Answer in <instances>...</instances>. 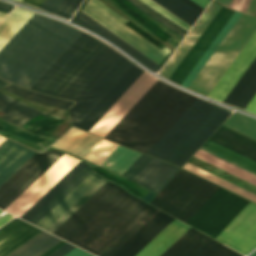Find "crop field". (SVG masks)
Returning a JSON list of instances; mask_svg holds the SVG:
<instances>
[{
    "mask_svg": "<svg viewBox=\"0 0 256 256\" xmlns=\"http://www.w3.org/2000/svg\"><path fill=\"white\" fill-rule=\"evenodd\" d=\"M106 182L107 180L102 178L82 198H80L68 211H66L54 224H52L47 229V231L52 233L58 226H60L72 213H74L86 200H88Z\"/></svg>",
    "mask_w": 256,
    "mask_h": 256,
    "instance_id": "obj_41",
    "label": "crop field"
},
{
    "mask_svg": "<svg viewBox=\"0 0 256 256\" xmlns=\"http://www.w3.org/2000/svg\"><path fill=\"white\" fill-rule=\"evenodd\" d=\"M130 3H132L133 5H135L136 7L140 8L141 10H143L144 12H146L147 14H149L150 16H152L153 18L157 19L158 21H160L161 23H163L164 25H166L167 27H169L170 29H172L173 31L177 32L178 34H180L181 36H185L182 33H180L179 31H177L176 29H174L173 27H171L170 25H168L167 23H165L164 21H162L161 19H159L158 17H156L155 15L151 14L150 12H148L147 10H145L144 8H142L141 6H139L138 4H136L135 2H133L132 0H127ZM176 33V34H177Z\"/></svg>",
    "mask_w": 256,
    "mask_h": 256,
    "instance_id": "obj_51",
    "label": "crop field"
},
{
    "mask_svg": "<svg viewBox=\"0 0 256 256\" xmlns=\"http://www.w3.org/2000/svg\"><path fill=\"white\" fill-rule=\"evenodd\" d=\"M5 89H7V90H9L13 93H16V94H18V95H20V96H22L26 99H30V100H34V101H38V102H42V103H46V104L66 108V109H68L70 107V105L73 103V102H70V101H66V100H62V99H58V98H54V97L34 93V92H31V91L26 90L24 88H21L19 86H16L14 84H11L10 86L6 87Z\"/></svg>",
    "mask_w": 256,
    "mask_h": 256,
    "instance_id": "obj_38",
    "label": "crop field"
},
{
    "mask_svg": "<svg viewBox=\"0 0 256 256\" xmlns=\"http://www.w3.org/2000/svg\"><path fill=\"white\" fill-rule=\"evenodd\" d=\"M248 203L220 188L187 224L215 239Z\"/></svg>",
    "mask_w": 256,
    "mask_h": 256,
    "instance_id": "obj_10",
    "label": "crop field"
},
{
    "mask_svg": "<svg viewBox=\"0 0 256 256\" xmlns=\"http://www.w3.org/2000/svg\"><path fill=\"white\" fill-rule=\"evenodd\" d=\"M201 149H203V150H205V151H207V152H209V153H211V154H213V155H215V156H218V157H220V158H222V159H224V160H226V161H228V162H230V163H232V164H234V165H237V166H239V167H241V168H243V169H245V170H247V171H249V172H251V173L256 174V172H254V171H252V170H250V169H248V168H245V167H243V166H241V165H239V164H237V163H235V162H233V161H230V160H228V159H226V158H224V157H222V156H220V155H218V154H215V153H213V152H211V151H209V150H207V149H205V148H203V147H201ZM254 174H253V175H254Z\"/></svg>",
    "mask_w": 256,
    "mask_h": 256,
    "instance_id": "obj_53",
    "label": "crop field"
},
{
    "mask_svg": "<svg viewBox=\"0 0 256 256\" xmlns=\"http://www.w3.org/2000/svg\"><path fill=\"white\" fill-rule=\"evenodd\" d=\"M216 240L243 254L256 247V204L250 202Z\"/></svg>",
    "mask_w": 256,
    "mask_h": 256,
    "instance_id": "obj_13",
    "label": "crop field"
},
{
    "mask_svg": "<svg viewBox=\"0 0 256 256\" xmlns=\"http://www.w3.org/2000/svg\"><path fill=\"white\" fill-rule=\"evenodd\" d=\"M173 219L159 211L112 256H135Z\"/></svg>",
    "mask_w": 256,
    "mask_h": 256,
    "instance_id": "obj_19",
    "label": "crop field"
},
{
    "mask_svg": "<svg viewBox=\"0 0 256 256\" xmlns=\"http://www.w3.org/2000/svg\"><path fill=\"white\" fill-rule=\"evenodd\" d=\"M5 16V14L0 13V21Z\"/></svg>",
    "mask_w": 256,
    "mask_h": 256,
    "instance_id": "obj_67",
    "label": "crop field"
},
{
    "mask_svg": "<svg viewBox=\"0 0 256 256\" xmlns=\"http://www.w3.org/2000/svg\"><path fill=\"white\" fill-rule=\"evenodd\" d=\"M188 228L189 226L174 219L136 256H159Z\"/></svg>",
    "mask_w": 256,
    "mask_h": 256,
    "instance_id": "obj_28",
    "label": "crop field"
},
{
    "mask_svg": "<svg viewBox=\"0 0 256 256\" xmlns=\"http://www.w3.org/2000/svg\"><path fill=\"white\" fill-rule=\"evenodd\" d=\"M256 94V58L224 102L245 109Z\"/></svg>",
    "mask_w": 256,
    "mask_h": 256,
    "instance_id": "obj_27",
    "label": "crop field"
},
{
    "mask_svg": "<svg viewBox=\"0 0 256 256\" xmlns=\"http://www.w3.org/2000/svg\"><path fill=\"white\" fill-rule=\"evenodd\" d=\"M143 71L144 70L134 65L113 87V89L99 102V104L84 118L78 127L89 131Z\"/></svg>",
    "mask_w": 256,
    "mask_h": 256,
    "instance_id": "obj_20",
    "label": "crop field"
},
{
    "mask_svg": "<svg viewBox=\"0 0 256 256\" xmlns=\"http://www.w3.org/2000/svg\"><path fill=\"white\" fill-rule=\"evenodd\" d=\"M71 22L80 25L82 27H85L87 29H90L97 34L101 35L108 41L112 42L113 44L120 47L122 50H124L126 53L131 55L133 58H135L137 61H139L141 64L149 68L151 71L156 72L160 70L161 67H159L157 64H155L153 61H151L149 58H147L145 55H143L141 52L130 46L128 43L117 37L115 34L92 20L90 17L82 13L78 10V12L75 14V16L72 18Z\"/></svg>",
    "mask_w": 256,
    "mask_h": 256,
    "instance_id": "obj_21",
    "label": "crop field"
},
{
    "mask_svg": "<svg viewBox=\"0 0 256 256\" xmlns=\"http://www.w3.org/2000/svg\"><path fill=\"white\" fill-rule=\"evenodd\" d=\"M155 194L151 193V192H147V194L144 196V198L142 200L148 202Z\"/></svg>",
    "mask_w": 256,
    "mask_h": 256,
    "instance_id": "obj_62",
    "label": "crop field"
},
{
    "mask_svg": "<svg viewBox=\"0 0 256 256\" xmlns=\"http://www.w3.org/2000/svg\"><path fill=\"white\" fill-rule=\"evenodd\" d=\"M189 25L195 22L201 12L183 0H153Z\"/></svg>",
    "mask_w": 256,
    "mask_h": 256,
    "instance_id": "obj_34",
    "label": "crop field"
},
{
    "mask_svg": "<svg viewBox=\"0 0 256 256\" xmlns=\"http://www.w3.org/2000/svg\"><path fill=\"white\" fill-rule=\"evenodd\" d=\"M36 152L10 140L0 146V185Z\"/></svg>",
    "mask_w": 256,
    "mask_h": 256,
    "instance_id": "obj_24",
    "label": "crop field"
},
{
    "mask_svg": "<svg viewBox=\"0 0 256 256\" xmlns=\"http://www.w3.org/2000/svg\"><path fill=\"white\" fill-rule=\"evenodd\" d=\"M255 57L256 30L208 94V97L223 102Z\"/></svg>",
    "mask_w": 256,
    "mask_h": 256,
    "instance_id": "obj_17",
    "label": "crop field"
},
{
    "mask_svg": "<svg viewBox=\"0 0 256 256\" xmlns=\"http://www.w3.org/2000/svg\"><path fill=\"white\" fill-rule=\"evenodd\" d=\"M252 254V253H251ZM250 256H256V251L252 254V255H250Z\"/></svg>",
    "mask_w": 256,
    "mask_h": 256,
    "instance_id": "obj_68",
    "label": "crop field"
},
{
    "mask_svg": "<svg viewBox=\"0 0 256 256\" xmlns=\"http://www.w3.org/2000/svg\"><path fill=\"white\" fill-rule=\"evenodd\" d=\"M6 140V138L0 136V145Z\"/></svg>",
    "mask_w": 256,
    "mask_h": 256,
    "instance_id": "obj_66",
    "label": "crop field"
},
{
    "mask_svg": "<svg viewBox=\"0 0 256 256\" xmlns=\"http://www.w3.org/2000/svg\"><path fill=\"white\" fill-rule=\"evenodd\" d=\"M136 1L139 2L140 4L144 5L145 7H147L148 9H150L151 11H153L154 13H156L157 15H159L160 17H162L163 19H165L166 21H168L169 23H171L172 25H174L175 27H177L178 29H180L184 33H187V31H185L184 29H182L181 27H179L178 25H176L175 23H173L169 19L165 18L164 16H162L161 14H159L158 12H156L155 10H153L152 8H150L149 6H147L146 4L141 2L140 0H136Z\"/></svg>",
    "mask_w": 256,
    "mask_h": 256,
    "instance_id": "obj_52",
    "label": "crop field"
},
{
    "mask_svg": "<svg viewBox=\"0 0 256 256\" xmlns=\"http://www.w3.org/2000/svg\"><path fill=\"white\" fill-rule=\"evenodd\" d=\"M7 84H9L8 82L2 81L0 80V89L4 86H6Z\"/></svg>",
    "mask_w": 256,
    "mask_h": 256,
    "instance_id": "obj_65",
    "label": "crop field"
},
{
    "mask_svg": "<svg viewBox=\"0 0 256 256\" xmlns=\"http://www.w3.org/2000/svg\"><path fill=\"white\" fill-rule=\"evenodd\" d=\"M224 125L256 140V120L234 112Z\"/></svg>",
    "mask_w": 256,
    "mask_h": 256,
    "instance_id": "obj_39",
    "label": "crop field"
},
{
    "mask_svg": "<svg viewBox=\"0 0 256 256\" xmlns=\"http://www.w3.org/2000/svg\"><path fill=\"white\" fill-rule=\"evenodd\" d=\"M101 138L90 133L71 127L56 143L52 146L85 157Z\"/></svg>",
    "mask_w": 256,
    "mask_h": 256,
    "instance_id": "obj_26",
    "label": "crop field"
},
{
    "mask_svg": "<svg viewBox=\"0 0 256 256\" xmlns=\"http://www.w3.org/2000/svg\"><path fill=\"white\" fill-rule=\"evenodd\" d=\"M241 15H242V13L235 11V13L232 15V17L229 19V21L224 26V28L221 30V32L218 34V36L215 38L213 43L210 45V47L204 53L202 58L199 60V62L193 68L191 73L189 72L190 74L185 79V81L182 83V86L188 88V86L191 84V82L194 80V78L197 76V74L200 72V70L203 68V66L206 64V62L209 60V58L212 56V54L215 52V50L221 44L223 39L226 37V35L229 33V31L232 29V27L235 25V23L241 17Z\"/></svg>",
    "mask_w": 256,
    "mask_h": 256,
    "instance_id": "obj_31",
    "label": "crop field"
},
{
    "mask_svg": "<svg viewBox=\"0 0 256 256\" xmlns=\"http://www.w3.org/2000/svg\"><path fill=\"white\" fill-rule=\"evenodd\" d=\"M158 211L108 181L53 234L111 256Z\"/></svg>",
    "mask_w": 256,
    "mask_h": 256,
    "instance_id": "obj_2",
    "label": "crop field"
},
{
    "mask_svg": "<svg viewBox=\"0 0 256 256\" xmlns=\"http://www.w3.org/2000/svg\"><path fill=\"white\" fill-rule=\"evenodd\" d=\"M65 256H90L78 249H73L71 252H69L68 254H66Z\"/></svg>",
    "mask_w": 256,
    "mask_h": 256,
    "instance_id": "obj_55",
    "label": "crop field"
},
{
    "mask_svg": "<svg viewBox=\"0 0 256 256\" xmlns=\"http://www.w3.org/2000/svg\"><path fill=\"white\" fill-rule=\"evenodd\" d=\"M250 0H232L229 8L245 12Z\"/></svg>",
    "mask_w": 256,
    "mask_h": 256,
    "instance_id": "obj_49",
    "label": "crop field"
},
{
    "mask_svg": "<svg viewBox=\"0 0 256 256\" xmlns=\"http://www.w3.org/2000/svg\"><path fill=\"white\" fill-rule=\"evenodd\" d=\"M195 156L256 184V175H253V174H251L237 166H234L218 157H215L201 149L198 150V152L195 154Z\"/></svg>",
    "mask_w": 256,
    "mask_h": 256,
    "instance_id": "obj_36",
    "label": "crop field"
},
{
    "mask_svg": "<svg viewBox=\"0 0 256 256\" xmlns=\"http://www.w3.org/2000/svg\"><path fill=\"white\" fill-rule=\"evenodd\" d=\"M184 1H186L187 3H189L190 5H192L193 7H195L196 9H198L201 12L204 10V9H202L201 7H199L198 5H196L195 3H193L190 0H184Z\"/></svg>",
    "mask_w": 256,
    "mask_h": 256,
    "instance_id": "obj_63",
    "label": "crop field"
},
{
    "mask_svg": "<svg viewBox=\"0 0 256 256\" xmlns=\"http://www.w3.org/2000/svg\"><path fill=\"white\" fill-rule=\"evenodd\" d=\"M75 246L67 243L64 246H62L60 249H58L57 251H55L54 253H52L49 256H63L65 255L67 252H69L70 250H72Z\"/></svg>",
    "mask_w": 256,
    "mask_h": 256,
    "instance_id": "obj_50",
    "label": "crop field"
},
{
    "mask_svg": "<svg viewBox=\"0 0 256 256\" xmlns=\"http://www.w3.org/2000/svg\"><path fill=\"white\" fill-rule=\"evenodd\" d=\"M218 189L181 169L150 204L187 223Z\"/></svg>",
    "mask_w": 256,
    "mask_h": 256,
    "instance_id": "obj_6",
    "label": "crop field"
},
{
    "mask_svg": "<svg viewBox=\"0 0 256 256\" xmlns=\"http://www.w3.org/2000/svg\"><path fill=\"white\" fill-rule=\"evenodd\" d=\"M230 114L197 98L147 154L182 166Z\"/></svg>",
    "mask_w": 256,
    "mask_h": 256,
    "instance_id": "obj_4",
    "label": "crop field"
},
{
    "mask_svg": "<svg viewBox=\"0 0 256 256\" xmlns=\"http://www.w3.org/2000/svg\"><path fill=\"white\" fill-rule=\"evenodd\" d=\"M62 155L56 150L36 153L0 186V208L4 210Z\"/></svg>",
    "mask_w": 256,
    "mask_h": 256,
    "instance_id": "obj_11",
    "label": "crop field"
},
{
    "mask_svg": "<svg viewBox=\"0 0 256 256\" xmlns=\"http://www.w3.org/2000/svg\"><path fill=\"white\" fill-rule=\"evenodd\" d=\"M246 110L256 114V95L252 99V101L249 103V105L246 107Z\"/></svg>",
    "mask_w": 256,
    "mask_h": 256,
    "instance_id": "obj_56",
    "label": "crop field"
},
{
    "mask_svg": "<svg viewBox=\"0 0 256 256\" xmlns=\"http://www.w3.org/2000/svg\"><path fill=\"white\" fill-rule=\"evenodd\" d=\"M183 168L256 203L255 195H253L237 186H234V185H232L214 175H211V174H209V173H207L189 163H187Z\"/></svg>",
    "mask_w": 256,
    "mask_h": 256,
    "instance_id": "obj_37",
    "label": "crop field"
},
{
    "mask_svg": "<svg viewBox=\"0 0 256 256\" xmlns=\"http://www.w3.org/2000/svg\"><path fill=\"white\" fill-rule=\"evenodd\" d=\"M141 1H143L144 3H146L147 5H149L150 7H152L153 9H155L156 11L164 15L165 17L169 18L170 20H172L173 22H175L185 30L188 31L189 28L191 27L185 22H183L182 20H180L179 18H177L176 16H174L173 14H171L170 12H168L167 10H165L164 8H162L161 6H159L158 4H156L155 2H153L152 0H141Z\"/></svg>",
    "mask_w": 256,
    "mask_h": 256,
    "instance_id": "obj_45",
    "label": "crop field"
},
{
    "mask_svg": "<svg viewBox=\"0 0 256 256\" xmlns=\"http://www.w3.org/2000/svg\"><path fill=\"white\" fill-rule=\"evenodd\" d=\"M81 2L82 0H64L55 14L70 19Z\"/></svg>",
    "mask_w": 256,
    "mask_h": 256,
    "instance_id": "obj_44",
    "label": "crop field"
},
{
    "mask_svg": "<svg viewBox=\"0 0 256 256\" xmlns=\"http://www.w3.org/2000/svg\"><path fill=\"white\" fill-rule=\"evenodd\" d=\"M60 240L42 231L8 256H39Z\"/></svg>",
    "mask_w": 256,
    "mask_h": 256,
    "instance_id": "obj_32",
    "label": "crop field"
},
{
    "mask_svg": "<svg viewBox=\"0 0 256 256\" xmlns=\"http://www.w3.org/2000/svg\"><path fill=\"white\" fill-rule=\"evenodd\" d=\"M14 6L3 4L0 2V10L9 12Z\"/></svg>",
    "mask_w": 256,
    "mask_h": 256,
    "instance_id": "obj_60",
    "label": "crop field"
},
{
    "mask_svg": "<svg viewBox=\"0 0 256 256\" xmlns=\"http://www.w3.org/2000/svg\"><path fill=\"white\" fill-rule=\"evenodd\" d=\"M216 1L222 3V4L226 5V6H229L231 0H216Z\"/></svg>",
    "mask_w": 256,
    "mask_h": 256,
    "instance_id": "obj_64",
    "label": "crop field"
},
{
    "mask_svg": "<svg viewBox=\"0 0 256 256\" xmlns=\"http://www.w3.org/2000/svg\"><path fill=\"white\" fill-rule=\"evenodd\" d=\"M101 177L95 175L93 171L82 180L64 199H62L36 226L46 230L54 223L66 210H68L80 197H82Z\"/></svg>",
    "mask_w": 256,
    "mask_h": 256,
    "instance_id": "obj_25",
    "label": "crop field"
},
{
    "mask_svg": "<svg viewBox=\"0 0 256 256\" xmlns=\"http://www.w3.org/2000/svg\"><path fill=\"white\" fill-rule=\"evenodd\" d=\"M157 80L144 71L90 132L105 137ZM195 99L158 80L106 138L146 153Z\"/></svg>",
    "mask_w": 256,
    "mask_h": 256,
    "instance_id": "obj_1",
    "label": "crop field"
},
{
    "mask_svg": "<svg viewBox=\"0 0 256 256\" xmlns=\"http://www.w3.org/2000/svg\"><path fill=\"white\" fill-rule=\"evenodd\" d=\"M22 1L39 8V6L42 4L44 0H22Z\"/></svg>",
    "mask_w": 256,
    "mask_h": 256,
    "instance_id": "obj_57",
    "label": "crop field"
},
{
    "mask_svg": "<svg viewBox=\"0 0 256 256\" xmlns=\"http://www.w3.org/2000/svg\"><path fill=\"white\" fill-rule=\"evenodd\" d=\"M120 55L92 37L41 92L77 102Z\"/></svg>",
    "mask_w": 256,
    "mask_h": 256,
    "instance_id": "obj_5",
    "label": "crop field"
},
{
    "mask_svg": "<svg viewBox=\"0 0 256 256\" xmlns=\"http://www.w3.org/2000/svg\"><path fill=\"white\" fill-rule=\"evenodd\" d=\"M255 29L256 17L243 14L189 89L207 96Z\"/></svg>",
    "mask_w": 256,
    "mask_h": 256,
    "instance_id": "obj_8",
    "label": "crop field"
},
{
    "mask_svg": "<svg viewBox=\"0 0 256 256\" xmlns=\"http://www.w3.org/2000/svg\"><path fill=\"white\" fill-rule=\"evenodd\" d=\"M0 110L5 113L0 118L16 124L20 127H22L29 119L33 118L8 107L2 102H0Z\"/></svg>",
    "mask_w": 256,
    "mask_h": 256,
    "instance_id": "obj_42",
    "label": "crop field"
},
{
    "mask_svg": "<svg viewBox=\"0 0 256 256\" xmlns=\"http://www.w3.org/2000/svg\"><path fill=\"white\" fill-rule=\"evenodd\" d=\"M4 122V121H3ZM8 132L18 136V137H21L27 141H31V142H35V143H38L40 144L45 138L43 137H39V136H35V135H32L24 130H21L15 126H12L6 122H4Z\"/></svg>",
    "mask_w": 256,
    "mask_h": 256,
    "instance_id": "obj_46",
    "label": "crop field"
},
{
    "mask_svg": "<svg viewBox=\"0 0 256 256\" xmlns=\"http://www.w3.org/2000/svg\"><path fill=\"white\" fill-rule=\"evenodd\" d=\"M81 33L34 14L0 50V77L30 89Z\"/></svg>",
    "mask_w": 256,
    "mask_h": 256,
    "instance_id": "obj_3",
    "label": "crop field"
},
{
    "mask_svg": "<svg viewBox=\"0 0 256 256\" xmlns=\"http://www.w3.org/2000/svg\"><path fill=\"white\" fill-rule=\"evenodd\" d=\"M192 1L198 4L199 6H201L202 8H205V6L208 4L210 0H192Z\"/></svg>",
    "mask_w": 256,
    "mask_h": 256,
    "instance_id": "obj_58",
    "label": "crop field"
},
{
    "mask_svg": "<svg viewBox=\"0 0 256 256\" xmlns=\"http://www.w3.org/2000/svg\"><path fill=\"white\" fill-rule=\"evenodd\" d=\"M55 121L61 122L62 119H58V118H55V117L50 115V116H48V117H46V118H44V119H42L38 122L26 127L25 129L30 130V131L35 133L36 131H39L40 129L46 127L47 125H49V124H51ZM55 127L52 128L51 130H49L48 132H46L44 135L48 136L55 129Z\"/></svg>",
    "mask_w": 256,
    "mask_h": 256,
    "instance_id": "obj_47",
    "label": "crop field"
},
{
    "mask_svg": "<svg viewBox=\"0 0 256 256\" xmlns=\"http://www.w3.org/2000/svg\"><path fill=\"white\" fill-rule=\"evenodd\" d=\"M73 158L64 154L27 190H25L12 204H10L5 209V211L19 217L56 181H58L71 167H73L78 162V160ZM86 166V164L79 161L42 197H40L27 211H25L20 216V218L28 221Z\"/></svg>",
    "mask_w": 256,
    "mask_h": 256,
    "instance_id": "obj_7",
    "label": "crop field"
},
{
    "mask_svg": "<svg viewBox=\"0 0 256 256\" xmlns=\"http://www.w3.org/2000/svg\"><path fill=\"white\" fill-rule=\"evenodd\" d=\"M0 212H1V210H0ZM12 218V216H10V215H5L4 217H2V218H0V226L2 225V224H4L5 222H7L9 219H11ZM10 221V220H9ZM3 226V225H2Z\"/></svg>",
    "mask_w": 256,
    "mask_h": 256,
    "instance_id": "obj_61",
    "label": "crop field"
},
{
    "mask_svg": "<svg viewBox=\"0 0 256 256\" xmlns=\"http://www.w3.org/2000/svg\"><path fill=\"white\" fill-rule=\"evenodd\" d=\"M87 1L88 0L84 1V3L82 4L79 10L82 11ZM99 1L89 0L82 12H84L85 14H87L88 16H90L100 24H102L104 27H106L107 29H109L110 31L118 35L120 38H122L123 40H125L126 42L134 46L135 48H137L139 51H141L143 54H145L147 57H149L158 65L170 50L169 53L166 55V57L163 59V61L159 65L162 67V65L165 63V61L167 60V58L169 57V55L172 53L173 50H171L170 48H168L167 46H165L164 44H162L161 42L153 38L151 35L143 31L141 28H139L138 26H136L135 24H133L132 22H130L128 19L124 17L126 20L129 21V22H126L125 24H128V23L133 24L135 27L143 31L145 34L153 38L155 41L162 44L163 46L160 48L158 47L159 49L162 50L165 47L169 49L167 50L165 48L162 51L159 50L157 47H155L156 45L155 46L152 45L147 40H145L140 35H138L136 32H134L129 27H127L125 24H123L122 22H125L126 20L122 18L123 17L122 15H121L122 17L119 16L120 14L118 12L114 10L119 15L116 14L114 11H112L113 10L112 8H111L112 10L109 9L110 8L109 6H108L109 8L106 7L107 5L105 3L104 4L106 6L102 4L103 3L102 1H101L102 3Z\"/></svg>",
    "mask_w": 256,
    "mask_h": 256,
    "instance_id": "obj_9",
    "label": "crop field"
},
{
    "mask_svg": "<svg viewBox=\"0 0 256 256\" xmlns=\"http://www.w3.org/2000/svg\"><path fill=\"white\" fill-rule=\"evenodd\" d=\"M179 168L142 154L123 176L158 192Z\"/></svg>",
    "mask_w": 256,
    "mask_h": 256,
    "instance_id": "obj_16",
    "label": "crop field"
},
{
    "mask_svg": "<svg viewBox=\"0 0 256 256\" xmlns=\"http://www.w3.org/2000/svg\"><path fill=\"white\" fill-rule=\"evenodd\" d=\"M233 13L234 10L227 9L222 6L196 43L169 77V80L181 85Z\"/></svg>",
    "mask_w": 256,
    "mask_h": 256,
    "instance_id": "obj_15",
    "label": "crop field"
},
{
    "mask_svg": "<svg viewBox=\"0 0 256 256\" xmlns=\"http://www.w3.org/2000/svg\"><path fill=\"white\" fill-rule=\"evenodd\" d=\"M219 9L220 6L211 2V4L208 6V8L205 10L202 16L196 22L194 27L191 29V31L179 45L177 50L174 52V54L171 56V58L168 60L165 66L162 68L161 71L163 73H165L169 77V75L172 73V71L175 69V67L178 65V63L181 61V59L184 57V55L187 53V51L190 49V47L193 45V43L196 41V39L199 37V35L202 33V31L205 29V27L208 25V23L211 21V19L214 17V15L217 13ZM163 73L162 75L165 78H168Z\"/></svg>",
    "mask_w": 256,
    "mask_h": 256,
    "instance_id": "obj_22",
    "label": "crop field"
},
{
    "mask_svg": "<svg viewBox=\"0 0 256 256\" xmlns=\"http://www.w3.org/2000/svg\"><path fill=\"white\" fill-rule=\"evenodd\" d=\"M91 37L83 32L31 89L40 92Z\"/></svg>",
    "mask_w": 256,
    "mask_h": 256,
    "instance_id": "obj_30",
    "label": "crop field"
},
{
    "mask_svg": "<svg viewBox=\"0 0 256 256\" xmlns=\"http://www.w3.org/2000/svg\"><path fill=\"white\" fill-rule=\"evenodd\" d=\"M41 230L15 218L0 229V256H6Z\"/></svg>",
    "mask_w": 256,
    "mask_h": 256,
    "instance_id": "obj_23",
    "label": "crop field"
},
{
    "mask_svg": "<svg viewBox=\"0 0 256 256\" xmlns=\"http://www.w3.org/2000/svg\"><path fill=\"white\" fill-rule=\"evenodd\" d=\"M62 1L63 0H45L43 4L40 6V9L54 14V12L56 11V9Z\"/></svg>",
    "mask_w": 256,
    "mask_h": 256,
    "instance_id": "obj_48",
    "label": "crop field"
},
{
    "mask_svg": "<svg viewBox=\"0 0 256 256\" xmlns=\"http://www.w3.org/2000/svg\"><path fill=\"white\" fill-rule=\"evenodd\" d=\"M118 147L102 139L85 159L101 166ZM138 153L120 146L102 166L122 175L141 155Z\"/></svg>",
    "mask_w": 256,
    "mask_h": 256,
    "instance_id": "obj_18",
    "label": "crop field"
},
{
    "mask_svg": "<svg viewBox=\"0 0 256 256\" xmlns=\"http://www.w3.org/2000/svg\"><path fill=\"white\" fill-rule=\"evenodd\" d=\"M160 256H242L199 231L189 228Z\"/></svg>",
    "mask_w": 256,
    "mask_h": 256,
    "instance_id": "obj_14",
    "label": "crop field"
},
{
    "mask_svg": "<svg viewBox=\"0 0 256 256\" xmlns=\"http://www.w3.org/2000/svg\"><path fill=\"white\" fill-rule=\"evenodd\" d=\"M210 140L256 162V143L224 127H220Z\"/></svg>",
    "mask_w": 256,
    "mask_h": 256,
    "instance_id": "obj_29",
    "label": "crop field"
},
{
    "mask_svg": "<svg viewBox=\"0 0 256 256\" xmlns=\"http://www.w3.org/2000/svg\"><path fill=\"white\" fill-rule=\"evenodd\" d=\"M256 6V0H251L250 4H249V7L247 9V13H251L253 12L254 8Z\"/></svg>",
    "mask_w": 256,
    "mask_h": 256,
    "instance_id": "obj_59",
    "label": "crop field"
},
{
    "mask_svg": "<svg viewBox=\"0 0 256 256\" xmlns=\"http://www.w3.org/2000/svg\"><path fill=\"white\" fill-rule=\"evenodd\" d=\"M133 65V63L121 55L69 111L72 124L77 126Z\"/></svg>",
    "mask_w": 256,
    "mask_h": 256,
    "instance_id": "obj_12",
    "label": "crop field"
},
{
    "mask_svg": "<svg viewBox=\"0 0 256 256\" xmlns=\"http://www.w3.org/2000/svg\"><path fill=\"white\" fill-rule=\"evenodd\" d=\"M91 171L92 170L88 165L82 172H80L67 186H65L51 201H49L28 222L35 225L43 216H45L63 197H65Z\"/></svg>",
    "mask_w": 256,
    "mask_h": 256,
    "instance_id": "obj_35",
    "label": "crop field"
},
{
    "mask_svg": "<svg viewBox=\"0 0 256 256\" xmlns=\"http://www.w3.org/2000/svg\"><path fill=\"white\" fill-rule=\"evenodd\" d=\"M0 101L8 104L9 106H11V107H13V108H15L17 110H20V111H22V112H24L26 114H29V115H31L33 117H35V116H37L39 114H42L45 117L49 115V114H46V113H44L42 111H39V110H37L35 108L27 106V105H25L23 103L15 101V100L7 97L6 95H4L2 92H0Z\"/></svg>",
    "mask_w": 256,
    "mask_h": 256,
    "instance_id": "obj_43",
    "label": "crop field"
},
{
    "mask_svg": "<svg viewBox=\"0 0 256 256\" xmlns=\"http://www.w3.org/2000/svg\"><path fill=\"white\" fill-rule=\"evenodd\" d=\"M33 13L14 8L0 25V49L26 23Z\"/></svg>",
    "mask_w": 256,
    "mask_h": 256,
    "instance_id": "obj_33",
    "label": "crop field"
},
{
    "mask_svg": "<svg viewBox=\"0 0 256 256\" xmlns=\"http://www.w3.org/2000/svg\"><path fill=\"white\" fill-rule=\"evenodd\" d=\"M65 241H60L58 244H56L55 246H53L52 248H50L48 251H46L45 253H43L41 256H48L49 254H51L52 252H54L55 250H57L58 248H60L62 245H64Z\"/></svg>",
    "mask_w": 256,
    "mask_h": 256,
    "instance_id": "obj_54",
    "label": "crop field"
},
{
    "mask_svg": "<svg viewBox=\"0 0 256 256\" xmlns=\"http://www.w3.org/2000/svg\"><path fill=\"white\" fill-rule=\"evenodd\" d=\"M203 147L256 171V163L255 162H253L245 157H242L228 149H225L209 140L203 145Z\"/></svg>",
    "mask_w": 256,
    "mask_h": 256,
    "instance_id": "obj_40",
    "label": "crop field"
},
{
    "mask_svg": "<svg viewBox=\"0 0 256 256\" xmlns=\"http://www.w3.org/2000/svg\"><path fill=\"white\" fill-rule=\"evenodd\" d=\"M254 14H256V9H255V11H254Z\"/></svg>",
    "mask_w": 256,
    "mask_h": 256,
    "instance_id": "obj_69",
    "label": "crop field"
}]
</instances>
